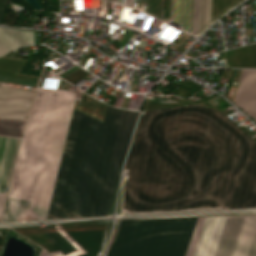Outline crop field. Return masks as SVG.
Masks as SVG:
<instances>
[{
  "label": "crop field",
  "mask_w": 256,
  "mask_h": 256,
  "mask_svg": "<svg viewBox=\"0 0 256 256\" xmlns=\"http://www.w3.org/2000/svg\"><path fill=\"white\" fill-rule=\"evenodd\" d=\"M149 13L161 19V0H149Z\"/></svg>",
  "instance_id": "crop-field-14"
},
{
  "label": "crop field",
  "mask_w": 256,
  "mask_h": 256,
  "mask_svg": "<svg viewBox=\"0 0 256 256\" xmlns=\"http://www.w3.org/2000/svg\"><path fill=\"white\" fill-rule=\"evenodd\" d=\"M247 135L196 105L142 113L125 166L124 212L256 207V142Z\"/></svg>",
  "instance_id": "crop-field-1"
},
{
  "label": "crop field",
  "mask_w": 256,
  "mask_h": 256,
  "mask_svg": "<svg viewBox=\"0 0 256 256\" xmlns=\"http://www.w3.org/2000/svg\"><path fill=\"white\" fill-rule=\"evenodd\" d=\"M16 139L17 138L0 136V192H2V193L4 191V187H5V183H6V179H7V175H8V171H9V167H10V163H11V159H12V155H13V151H14V147H15V143H16ZM19 139L20 138H18V140H17V144H16V148H15V152H14L6 188L8 187V183H9V179H10V175H11V171H12V167H13V163H14V159H15V155H16V151H17V147H18V143H19ZM4 193L6 194L7 192L5 191Z\"/></svg>",
  "instance_id": "crop-field-10"
},
{
  "label": "crop field",
  "mask_w": 256,
  "mask_h": 256,
  "mask_svg": "<svg viewBox=\"0 0 256 256\" xmlns=\"http://www.w3.org/2000/svg\"><path fill=\"white\" fill-rule=\"evenodd\" d=\"M193 0H174L173 21L191 34Z\"/></svg>",
  "instance_id": "crop-field-11"
},
{
  "label": "crop field",
  "mask_w": 256,
  "mask_h": 256,
  "mask_svg": "<svg viewBox=\"0 0 256 256\" xmlns=\"http://www.w3.org/2000/svg\"><path fill=\"white\" fill-rule=\"evenodd\" d=\"M129 6L131 7V0H129Z\"/></svg>",
  "instance_id": "crop-field-19"
},
{
  "label": "crop field",
  "mask_w": 256,
  "mask_h": 256,
  "mask_svg": "<svg viewBox=\"0 0 256 256\" xmlns=\"http://www.w3.org/2000/svg\"><path fill=\"white\" fill-rule=\"evenodd\" d=\"M38 256H51L47 252H45L43 249H40L39 255Z\"/></svg>",
  "instance_id": "crop-field-17"
},
{
  "label": "crop field",
  "mask_w": 256,
  "mask_h": 256,
  "mask_svg": "<svg viewBox=\"0 0 256 256\" xmlns=\"http://www.w3.org/2000/svg\"><path fill=\"white\" fill-rule=\"evenodd\" d=\"M34 43V31L0 27V55Z\"/></svg>",
  "instance_id": "crop-field-9"
},
{
  "label": "crop field",
  "mask_w": 256,
  "mask_h": 256,
  "mask_svg": "<svg viewBox=\"0 0 256 256\" xmlns=\"http://www.w3.org/2000/svg\"><path fill=\"white\" fill-rule=\"evenodd\" d=\"M137 114L107 107L81 216L109 214Z\"/></svg>",
  "instance_id": "crop-field-4"
},
{
  "label": "crop field",
  "mask_w": 256,
  "mask_h": 256,
  "mask_svg": "<svg viewBox=\"0 0 256 256\" xmlns=\"http://www.w3.org/2000/svg\"><path fill=\"white\" fill-rule=\"evenodd\" d=\"M34 92L0 87V115L26 119Z\"/></svg>",
  "instance_id": "crop-field-7"
},
{
  "label": "crop field",
  "mask_w": 256,
  "mask_h": 256,
  "mask_svg": "<svg viewBox=\"0 0 256 256\" xmlns=\"http://www.w3.org/2000/svg\"><path fill=\"white\" fill-rule=\"evenodd\" d=\"M119 3H123L125 5H128V0H119Z\"/></svg>",
  "instance_id": "crop-field-18"
},
{
  "label": "crop field",
  "mask_w": 256,
  "mask_h": 256,
  "mask_svg": "<svg viewBox=\"0 0 256 256\" xmlns=\"http://www.w3.org/2000/svg\"><path fill=\"white\" fill-rule=\"evenodd\" d=\"M6 3H7V0H0V22H1V18H2Z\"/></svg>",
  "instance_id": "crop-field-16"
},
{
  "label": "crop field",
  "mask_w": 256,
  "mask_h": 256,
  "mask_svg": "<svg viewBox=\"0 0 256 256\" xmlns=\"http://www.w3.org/2000/svg\"><path fill=\"white\" fill-rule=\"evenodd\" d=\"M228 216L118 220L107 256H214ZM215 256H256V214L229 216Z\"/></svg>",
  "instance_id": "crop-field-2"
},
{
  "label": "crop field",
  "mask_w": 256,
  "mask_h": 256,
  "mask_svg": "<svg viewBox=\"0 0 256 256\" xmlns=\"http://www.w3.org/2000/svg\"><path fill=\"white\" fill-rule=\"evenodd\" d=\"M113 1L118 3V0H113Z\"/></svg>",
  "instance_id": "crop-field-20"
},
{
  "label": "crop field",
  "mask_w": 256,
  "mask_h": 256,
  "mask_svg": "<svg viewBox=\"0 0 256 256\" xmlns=\"http://www.w3.org/2000/svg\"><path fill=\"white\" fill-rule=\"evenodd\" d=\"M198 0H194L192 33H196Z\"/></svg>",
  "instance_id": "crop-field-15"
},
{
  "label": "crop field",
  "mask_w": 256,
  "mask_h": 256,
  "mask_svg": "<svg viewBox=\"0 0 256 256\" xmlns=\"http://www.w3.org/2000/svg\"><path fill=\"white\" fill-rule=\"evenodd\" d=\"M58 91L37 89L20 141L11 182V198L31 199Z\"/></svg>",
  "instance_id": "crop-field-5"
},
{
  "label": "crop field",
  "mask_w": 256,
  "mask_h": 256,
  "mask_svg": "<svg viewBox=\"0 0 256 256\" xmlns=\"http://www.w3.org/2000/svg\"><path fill=\"white\" fill-rule=\"evenodd\" d=\"M101 127L74 109L47 218L80 216Z\"/></svg>",
  "instance_id": "crop-field-3"
},
{
  "label": "crop field",
  "mask_w": 256,
  "mask_h": 256,
  "mask_svg": "<svg viewBox=\"0 0 256 256\" xmlns=\"http://www.w3.org/2000/svg\"><path fill=\"white\" fill-rule=\"evenodd\" d=\"M234 103L256 121V70H243Z\"/></svg>",
  "instance_id": "crop-field-8"
},
{
  "label": "crop field",
  "mask_w": 256,
  "mask_h": 256,
  "mask_svg": "<svg viewBox=\"0 0 256 256\" xmlns=\"http://www.w3.org/2000/svg\"><path fill=\"white\" fill-rule=\"evenodd\" d=\"M26 120L0 116V133L20 136Z\"/></svg>",
  "instance_id": "crop-field-13"
},
{
  "label": "crop field",
  "mask_w": 256,
  "mask_h": 256,
  "mask_svg": "<svg viewBox=\"0 0 256 256\" xmlns=\"http://www.w3.org/2000/svg\"><path fill=\"white\" fill-rule=\"evenodd\" d=\"M76 95L63 90L58 92L29 207L42 219L47 216Z\"/></svg>",
  "instance_id": "crop-field-6"
},
{
  "label": "crop field",
  "mask_w": 256,
  "mask_h": 256,
  "mask_svg": "<svg viewBox=\"0 0 256 256\" xmlns=\"http://www.w3.org/2000/svg\"><path fill=\"white\" fill-rule=\"evenodd\" d=\"M240 1V0H238ZM242 1V0H241ZM240 1V2H241ZM238 2V3H240ZM237 3V0H235ZM237 3V4H238ZM235 4V5H237ZM232 5H234V0H232ZM234 5V6H235ZM231 7V0H224V11ZM233 7V6H232ZM230 9V8H229ZM228 9V10H229ZM207 10H208V0H205V18H204V27L207 26ZM226 10V11H228ZM210 11H211V0H209V10H208V24L210 23ZM225 11V12H226ZM224 12V13H225ZM223 13V0H212V13H211V21L215 19L217 16ZM223 13V14H224ZM222 14V15H223ZM203 17H204V0H203ZM220 17V16H219ZM217 17V18H219ZM216 18V19H217ZM201 19H202V0H200V21H199V7H198V21H199V32L201 31ZM210 25V24H209ZM202 29H203V19H202ZM205 29V28H204ZM203 29V30H204ZM202 30V31H203ZM197 32H198V25H197ZM195 35V34H193Z\"/></svg>",
  "instance_id": "crop-field-12"
}]
</instances>
